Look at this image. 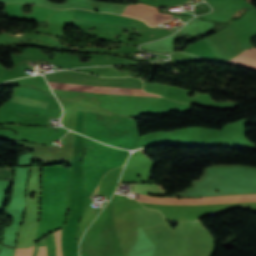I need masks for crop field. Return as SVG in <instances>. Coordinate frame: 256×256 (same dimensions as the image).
<instances>
[{"label":"crop field","mask_w":256,"mask_h":256,"mask_svg":"<svg viewBox=\"0 0 256 256\" xmlns=\"http://www.w3.org/2000/svg\"><path fill=\"white\" fill-rule=\"evenodd\" d=\"M145 195L139 194V197H144ZM256 195H231V196H213L206 198H225V197H249ZM148 198H156L145 196ZM148 198H139V202L146 203H163V204H194V203H225V202H251L256 201V198H227V199H207V200H178V201H169L177 199H206V198H157V199H169V200H157V199H148Z\"/></svg>","instance_id":"1"},{"label":"crop field","mask_w":256,"mask_h":256,"mask_svg":"<svg viewBox=\"0 0 256 256\" xmlns=\"http://www.w3.org/2000/svg\"><path fill=\"white\" fill-rule=\"evenodd\" d=\"M44 246H46V243H45V239L43 238L37 244H35L33 256H41L42 249ZM51 256H62L61 255V244H60V230L52 233Z\"/></svg>","instance_id":"2"},{"label":"crop field","mask_w":256,"mask_h":256,"mask_svg":"<svg viewBox=\"0 0 256 256\" xmlns=\"http://www.w3.org/2000/svg\"><path fill=\"white\" fill-rule=\"evenodd\" d=\"M227 63L236 64L252 70H256V49H249L239 55L237 58L228 61Z\"/></svg>","instance_id":"3"},{"label":"crop field","mask_w":256,"mask_h":256,"mask_svg":"<svg viewBox=\"0 0 256 256\" xmlns=\"http://www.w3.org/2000/svg\"><path fill=\"white\" fill-rule=\"evenodd\" d=\"M136 192H142L153 195H164L165 191L157 185H148V184H134Z\"/></svg>","instance_id":"4"},{"label":"crop field","mask_w":256,"mask_h":256,"mask_svg":"<svg viewBox=\"0 0 256 256\" xmlns=\"http://www.w3.org/2000/svg\"><path fill=\"white\" fill-rule=\"evenodd\" d=\"M14 100L19 101V102L33 104V105H38V106H42V107H45L47 104V102H45V101H39V100L28 99V98L17 97V96L14 97Z\"/></svg>","instance_id":"5"},{"label":"crop field","mask_w":256,"mask_h":256,"mask_svg":"<svg viewBox=\"0 0 256 256\" xmlns=\"http://www.w3.org/2000/svg\"><path fill=\"white\" fill-rule=\"evenodd\" d=\"M21 249H16L15 256H19ZM33 248L22 249L20 256H31Z\"/></svg>","instance_id":"6"},{"label":"crop field","mask_w":256,"mask_h":256,"mask_svg":"<svg viewBox=\"0 0 256 256\" xmlns=\"http://www.w3.org/2000/svg\"><path fill=\"white\" fill-rule=\"evenodd\" d=\"M98 189V188H97ZM97 189H96V191H95V194L97 193Z\"/></svg>","instance_id":"7"}]
</instances>
